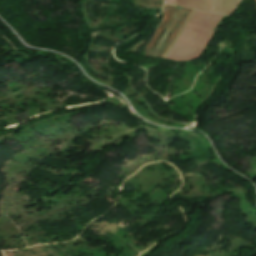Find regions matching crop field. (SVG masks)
Here are the masks:
<instances>
[{"label": "crop field", "instance_id": "crop-field-1", "mask_svg": "<svg viewBox=\"0 0 256 256\" xmlns=\"http://www.w3.org/2000/svg\"><path fill=\"white\" fill-rule=\"evenodd\" d=\"M221 18L220 15L194 10L167 58L175 60L197 58Z\"/></svg>", "mask_w": 256, "mask_h": 256}, {"label": "crop field", "instance_id": "crop-field-2", "mask_svg": "<svg viewBox=\"0 0 256 256\" xmlns=\"http://www.w3.org/2000/svg\"><path fill=\"white\" fill-rule=\"evenodd\" d=\"M177 9L178 8L175 7V6L165 5V8H164V19L161 22V24L159 25V27H158L157 31L155 32L154 36L152 37L150 43L148 44V46L146 48L147 50L144 53L145 56H148L150 50L152 49V47L154 46V44L156 43V41L160 37V35L163 32L164 28L167 26V24L169 23V21L171 20V18L173 17L175 12L177 11ZM184 10H185V8L183 10L178 9V11L175 14L174 18L170 22L166 32L163 34V36L160 38L158 43L155 45L154 49L151 51L149 56L156 57L157 53L161 49L162 45L166 41L167 37L169 36L170 32L174 28L175 24L179 20L180 16L184 12ZM190 11H191L190 8L186 9L185 13L183 14L182 18L178 22V24L175 27L174 31L172 32L171 36L169 37V39L167 40V42L164 45L163 49L159 53L158 57L163 58L164 54L166 53L167 49L169 48L170 44L172 43L173 39L175 38L176 34L178 33L179 29L181 28L182 24L184 23L185 19L187 18L188 14L190 13Z\"/></svg>", "mask_w": 256, "mask_h": 256}, {"label": "crop field", "instance_id": "crop-field-3", "mask_svg": "<svg viewBox=\"0 0 256 256\" xmlns=\"http://www.w3.org/2000/svg\"><path fill=\"white\" fill-rule=\"evenodd\" d=\"M175 4L210 11L211 0H174Z\"/></svg>", "mask_w": 256, "mask_h": 256}, {"label": "crop field", "instance_id": "crop-field-4", "mask_svg": "<svg viewBox=\"0 0 256 256\" xmlns=\"http://www.w3.org/2000/svg\"><path fill=\"white\" fill-rule=\"evenodd\" d=\"M165 2L172 3V2H173V0H165Z\"/></svg>", "mask_w": 256, "mask_h": 256}]
</instances>
